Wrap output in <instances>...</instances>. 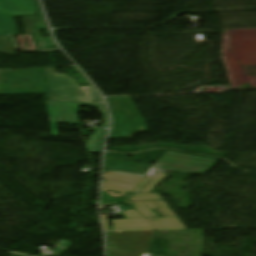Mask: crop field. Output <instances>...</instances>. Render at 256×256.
<instances>
[{"label":"crop field","instance_id":"22f410ed","mask_svg":"<svg viewBox=\"0 0 256 256\" xmlns=\"http://www.w3.org/2000/svg\"><path fill=\"white\" fill-rule=\"evenodd\" d=\"M0 12H3V11H2V8H1V5H0Z\"/></svg>","mask_w":256,"mask_h":256},{"label":"crop field","instance_id":"dd49c442","mask_svg":"<svg viewBox=\"0 0 256 256\" xmlns=\"http://www.w3.org/2000/svg\"><path fill=\"white\" fill-rule=\"evenodd\" d=\"M133 205L154 224L156 230L186 229L165 201L136 202ZM154 208H159L168 218H150L157 217L151 211Z\"/></svg>","mask_w":256,"mask_h":256},{"label":"crop field","instance_id":"34b2d1b8","mask_svg":"<svg viewBox=\"0 0 256 256\" xmlns=\"http://www.w3.org/2000/svg\"><path fill=\"white\" fill-rule=\"evenodd\" d=\"M107 100L114 119L110 139L133 138L136 133L148 132L146 122L130 97Z\"/></svg>","mask_w":256,"mask_h":256},{"label":"crop field","instance_id":"5a996713","mask_svg":"<svg viewBox=\"0 0 256 256\" xmlns=\"http://www.w3.org/2000/svg\"><path fill=\"white\" fill-rule=\"evenodd\" d=\"M106 130L96 129V134L90 137V141L87 144V152L91 154L100 153V147L105 135Z\"/></svg>","mask_w":256,"mask_h":256},{"label":"crop field","instance_id":"f4fd0767","mask_svg":"<svg viewBox=\"0 0 256 256\" xmlns=\"http://www.w3.org/2000/svg\"><path fill=\"white\" fill-rule=\"evenodd\" d=\"M46 104L49 112L52 132L54 136L58 135V131L56 127L57 123H69L72 125H79L76 110L80 106L99 108L100 113L103 114L105 119L102 127L106 128L108 125L107 114L104 106L72 104V103H55V102H47V101H46Z\"/></svg>","mask_w":256,"mask_h":256},{"label":"crop field","instance_id":"d1516ede","mask_svg":"<svg viewBox=\"0 0 256 256\" xmlns=\"http://www.w3.org/2000/svg\"><path fill=\"white\" fill-rule=\"evenodd\" d=\"M18 38H19L21 48H26L23 36H18ZM27 38L30 46L29 49H36V46H34L33 40L30 38V36H27Z\"/></svg>","mask_w":256,"mask_h":256},{"label":"crop field","instance_id":"3316defc","mask_svg":"<svg viewBox=\"0 0 256 256\" xmlns=\"http://www.w3.org/2000/svg\"><path fill=\"white\" fill-rule=\"evenodd\" d=\"M15 52L12 37H0V53L14 56Z\"/></svg>","mask_w":256,"mask_h":256},{"label":"crop field","instance_id":"412701ff","mask_svg":"<svg viewBox=\"0 0 256 256\" xmlns=\"http://www.w3.org/2000/svg\"><path fill=\"white\" fill-rule=\"evenodd\" d=\"M36 1L39 8V22L35 28V34L39 49L58 48L49 34L48 27L42 14L39 2L38 0ZM0 2L4 11V13H0V36H10L17 34L11 16L36 14L37 12L33 0H0ZM37 29H46L49 37L40 38L39 34L37 33Z\"/></svg>","mask_w":256,"mask_h":256},{"label":"crop field","instance_id":"e52e79f7","mask_svg":"<svg viewBox=\"0 0 256 256\" xmlns=\"http://www.w3.org/2000/svg\"><path fill=\"white\" fill-rule=\"evenodd\" d=\"M124 220H113V230H109L106 215L102 216L106 231L153 230L151 223L136 211L122 213Z\"/></svg>","mask_w":256,"mask_h":256},{"label":"crop field","instance_id":"cbeb9de0","mask_svg":"<svg viewBox=\"0 0 256 256\" xmlns=\"http://www.w3.org/2000/svg\"><path fill=\"white\" fill-rule=\"evenodd\" d=\"M150 256H154V255H150Z\"/></svg>","mask_w":256,"mask_h":256},{"label":"crop field","instance_id":"8a807250","mask_svg":"<svg viewBox=\"0 0 256 256\" xmlns=\"http://www.w3.org/2000/svg\"><path fill=\"white\" fill-rule=\"evenodd\" d=\"M216 160L190 155L166 152L146 176L109 170L104 173L103 190L111 196H126L127 192L136 193L130 201L163 199L158 194H149L157 184L172 170L200 174L209 170ZM120 193V194H116Z\"/></svg>","mask_w":256,"mask_h":256},{"label":"crop field","instance_id":"d8731c3e","mask_svg":"<svg viewBox=\"0 0 256 256\" xmlns=\"http://www.w3.org/2000/svg\"><path fill=\"white\" fill-rule=\"evenodd\" d=\"M153 165L105 158L104 168L146 175Z\"/></svg>","mask_w":256,"mask_h":256},{"label":"crop field","instance_id":"ac0d7876","mask_svg":"<svg viewBox=\"0 0 256 256\" xmlns=\"http://www.w3.org/2000/svg\"><path fill=\"white\" fill-rule=\"evenodd\" d=\"M50 100L104 105L93 86L80 87L66 74H58L55 68H46Z\"/></svg>","mask_w":256,"mask_h":256},{"label":"crop field","instance_id":"28ad6ade","mask_svg":"<svg viewBox=\"0 0 256 256\" xmlns=\"http://www.w3.org/2000/svg\"><path fill=\"white\" fill-rule=\"evenodd\" d=\"M114 203H117V201L113 197H111L105 192H102L100 209H103L104 206L111 205Z\"/></svg>","mask_w":256,"mask_h":256}]
</instances>
